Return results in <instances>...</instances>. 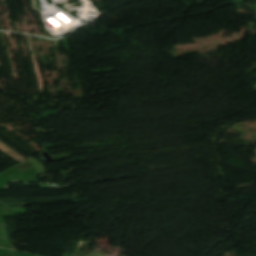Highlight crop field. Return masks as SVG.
<instances>
[{
  "mask_svg": "<svg viewBox=\"0 0 256 256\" xmlns=\"http://www.w3.org/2000/svg\"><path fill=\"white\" fill-rule=\"evenodd\" d=\"M9 256H37V255H31V254L13 251Z\"/></svg>",
  "mask_w": 256,
  "mask_h": 256,
  "instance_id": "8a807250",
  "label": "crop field"
}]
</instances>
